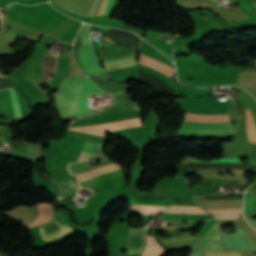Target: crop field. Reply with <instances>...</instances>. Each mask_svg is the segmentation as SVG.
Returning a JSON list of instances; mask_svg holds the SVG:
<instances>
[{
  "label": "crop field",
  "instance_id": "obj_20",
  "mask_svg": "<svg viewBox=\"0 0 256 256\" xmlns=\"http://www.w3.org/2000/svg\"><path fill=\"white\" fill-rule=\"evenodd\" d=\"M13 1H15V0H0V5L5 6L9 3H12Z\"/></svg>",
  "mask_w": 256,
  "mask_h": 256
},
{
  "label": "crop field",
  "instance_id": "obj_25",
  "mask_svg": "<svg viewBox=\"0 0 256 256\" xmlns=\"http://www.w3.org/2000/svg\"><path fill=\"white\" fill-rule=\"evenodd\" d=\"M256 63V62H255Z\"/></svg>",
  "mask_w": 256,
  "mask_h": 256
},
{
  "label": "crop field",
  "instance_id": "obj_21",
  "mask_svg": "<svg viewBox=\"0 0 256 256\" xmlns=\"http://www.w3.org/2000/svg\"><path fill=\"white\" fill-rule=\"evenodd\" d=\"M9 75H11V73H10V74H8L7 76H1V77H8ZM1 77H0V78H1Z\"/></svg>",
  "mask_w": 256,
  "mask_h": 256
},
{
  "label": "crop field",
  "instance_id": "obj_15",
  "mask_svg": "<svg viewBox=\"0 0 256 256\" xmlns=\"http://www.w3.org/2000/svg\"><path fill=\"white\" fill-rule=\"evenodd\" d=\"M253 205H254V192H246L245 205H244V216H253Z\"/></svg>",
  "mask_w": 256,
  "mask_h": 256
},
{
  "label": "crop field",
  "instance_id": "obj_9",
  "mask_svg": "<svg viewBox=\"0 0 256 256\" xmlns=\"http://www.w3.org/2000/svg\"><path fill=\"white\" fill-rule=\"evenodd\" d=\"M138 65L148 67L151 69H155L168 77H173L175 69L157 61L152 58L145 56L144 54L139 52V61Z\"/></svg>",
  "mask_w": 256,
  "mask_h": 256
},
{
  "label": "crop field",
  "instance_id": "obj_10",
  "mask_svg": "<svg viewBox=\"0 0 256 256\" xmlns=\"http://www.w3.org/2000/svg\"><path fill=\"white\" fill-rule=\"evenodd\" d=\"M133 110H139L137 104L133 101H128V102L111 105L105 110L89 117H99V116H105L113 113L133 111Z\"/></svg>",
  "mask_w": 256,
  "mask_h": 256
},
{
  "label": "crop field",
  "instance_id": "obj_13",
  "mask_svg": "<svg viewBox=\"0 0 256 256\" xmlns=\"http://www.w3.org/2000/svg\"><path fill=\"white\" fill-rule=\"evenodd\" d=\"M167 207L161 206H142V205H133L130 211L141 212L147 216L163 212Z\"/></svg>",
  "mask_w": 256,
  "mask_h": 256
},
{
  "label": "crop field",
  "instance_id": "obj_23",
  "mask_svg": "<svg viewBox=\"0 0 256 256\" xmlns=\"http://www.w3.org/2000/svg\"><path fill=\"white\" fill-rule=\"evenodd\" d=\"M76 206H84V205H76Z\"/></svg>",
  "mask_w": 256,
  "mask_h": 256
},
{
  "label": "crop field",
  "instance_id": "obj_8",
  "mask_svg": "<svg viewBox=\"0 0 256 256\" xmlns=\"http://www.w3.org/2000/svg\"><path fill=\"white\" fill-rule=\"evenodd\" d=\"M72 229H70L67 226L61 225L59 222L56 220L51 222L50 224L41 227L40 228V233L41 236L45 241L62 236L68 232H70Z\"/></svg>",
  "mask_w": 256,
  "mask_h": 256
},
{
  "label": "crop field",
  "instance_id": "obj_6",
  "mask_svg": "<svg viewBox=\"0 0 256 256\" xmlns=\"http://www.w3.org/2000/svg\"><path fill=\"white\" fill-rule=\"evenodd\" d=\"M195 250L223 251L220 236L215 223L205 236L190 247ZM205 256H239L237 252H211L206 251Z\"/></svg>",
  "mask_w": 256,
  "mask_h": 256
},
{
  "label": "crop field",
  "instance_id": "obj_12",
  "mask_svg": "<svg viewBox=\"0 0 256 256\" xmlns=\"http://www.w3.org/2000/svg\"><path fill=\"white\" fill-rule=\"evenodd\" d=\"M215 216V218H235L242 215L241 209L228 210H207Z\"/></svg>",
  "mask_w": 256,
  "mask_h": 256
},
{
  "label": "crop field",
  "instance_id": "obj_16",
  "mask_svg": "<svg viewBox=\"0 0 256 256\" xmlns=\"http://www.w3.org/2000/svg\"><path fill=\"white\" fill-rule=\"evenodd\" d=\"M51 54V53H47ZM56 55H47L45 62V77L44 82H48V74L54 72Z\"/></svg>",
  "mask_w": 256,
  "mask_h": 256
},
{
  "label": "crop field",
  "instance_id": "obj_4",
  "mask_svg": "<svg viewBox=\"0 0 256 256\" xmlns=\"http://www.w3.org/2000/svg\"><path fill=\"white\" fill-rule=\"evenodd\" d=\"M94 145L95 144L93 143L85 141L76 161L87 160ZM102 148V145L96 144L88 160L91 161L97 157H100V164L110 162V160L103 154ZM51 176L59 183L64 196H75V190H77L78 187L71 174H60Z\"/></svg>",
  "mask_w": 256,
  "mask_h": 256
},
{
  "label": "crop field",
  "instance_id": "obj_17",
  "mask_svg": "<svg viewBox=\"0 0 256 256\" xmlns=\"http://www.w3.org/2000/svg\"><path fill=\"white\" fill-rule=\"evenodd\" d=\"M9 91H10L11 101H12V105H13L14 116L15 117H21L20 108H19V105H18L15 90L14 89H9Z\"/></svg>",
  "mask_w": 256,
  "mask_h": 256
},
{
  "label": "crop field",
  "instance_id": "obj_5",
  "mask_svg": "<svg viewBox=\"0 0 256 256\" xmlns=\"http://www.w3.org/2000/svg\"><path fill=\"white\" fill-rule=\"evenodd\" d=\"M145 229L146 228L143 227L130 228L127 245L128 253L140 252L144 238L143 231ZM161 249L159 248L156 241L152 238V236H146L145 249L142 253V256H162L166 252Z\"/></svg>",
  "mask_w": 256,
  "mask_h": 256
},
{
  "label": "crop field",
  "instance_id": "obj_22",
  "mask_svg": "<svg viewBox=\"0 0 256 256\" xmlns=\"http://www.w3.org/2000/svg\"><path fill=\"white\" fill-rule=\"evenodd\" d=\"M129 33V32H128ZM135 36V35H134ZM137 37V36H136ZM110 40V39H109ZM142 40V39H141ZM113 42V41H112ZM141 42V41H140ZM115 43V42H114ZM138 49H139V47H138Z\"/></svg>",
  "mask_w": 256,
  "mask_h": 256
},
{
  "label": "crop field",
  "instance_id": "obj_11",
  "mask_svg": "<svg viewBox=\"0 0 256 256\" xmlns=\"http://www.w3.org/2000/svg\"><path fill=\"white\" fill-rule=\"evenodd\" d=\"M51 218V206L48 203H39V216L36 219V221L30 225L34 226L37 224L44 223Z\"/></svg>",
  "mask_w": 256,
  "mask_h": 256
},
{
  "label": "crop field",
  "instance_id": "obj_19",
  "mask_svg": "<svg viewBox=\"0 0 256 256\" xmlns=\"http://www.w3.org/2000/svg\"><path fill=\"white\" fill-rule=\"evenodd\" d=\"M202 236H190V237H181V238H169V239H160L162 243L168 242H179V241H187V240H195L200 239Z\"/></svg>",
  "mask_w": 256,
  "mask_h": 256
},
{
  "label": "crop field",
  "instance_id": "obj_18",
  "mask_svg": "<svg viewBox=\"0 0 256 256\" xmlns=\"http://www.w3.org/2000/svg\"><path fill=\"white\" fill-rule=\"evenodd\" d=\"M192 162H203V161H200V160H196L194 159ZM212 162H223V163H241L239 161V159H230V158H220V159H215L213 160ZM233 172H239V171H233ZM191 172H186V174H189ZM239 173H244V172H239ZM233 174H238V173H233Z\"/></svg>",
  "mask_w": 256,
  "mask_h": 256
},
{
  "label": "crop field",
  "instance_id": "obj_1",
  "mask_svg": "<svg viewBox=\"0 0 256 256\" xmlns=\"http://www.w3.org/2000/svg\"><path fill=\"white\" fill-rule=\"evenodd\" d=\"M70 77L66 78L59 91L56 94L58 107L65 117V92L67 90ZM84 76H72L68 90L66 92V117L77 116V98L78 92L81 87V83ZM104 92L96 84L90 81L86 76L84 77L81 91L78 98V116L90 113L91 110L87 106L88 94L102 93Z\"/></svg>",
  "mask_w": 256,
  "mask_h": 256
},
{
  "label": "crop field",
  "instance_id": "obj_3",
  "mask_svg": "<svg viewBox=\"0 0 256 256\" xmlns=\"http://www.w3.org/2000/svg\"><path fill=\"white\" fill-rule=\"evenodd\" d=\"M189 122L197 123H226L229 122L226 114L224 115H197L185 113L184 119ZM183 121L178 132L188 133H233L230 123L226 124H196Z\"/></svg>",
  "mask_w": 256,
  "mask_h": 256
},
{
  "label": "crop field",
  "instance_id": "obj_7",
  "mask_svg": "<svg viewBox=\"0 0 256 256\" xmlns=\"http://www.w3.org/2000/svg\"><path fill=\"white\" fill-rule=\"evenodd\" d=\"M237 69L238 67H229V66L180 65L179 71L202 72V73H237ZM190 72H179V73L199 74V75H230V74H202V73H190Z\"/></svg>",
  "mask_w": 256,
  "mask_h": 256
},
{
  "label": "crop field",
  "instance_id": "obj_24",
  "mask_svg": "<svg viewBox=\"0 0 256 256\" xmlns=\"http://www.w3.org/2000/svg\"><path fill=\"white\" fill-rule=\"evenodd\" d=\"M0 32H2V31H0Z\"/></svg>",
  "mask_w": 256,
  "mask_h": 256
},
{
  "label": "crop field",
  "instance_id": "obj_2",
  "mask_svg": "<svg viewBox=\"0 0 256 256\" xmlns=\"http://www.w3.org/2000/svg\"><path fill=\"white\" fill-rule=\"evenodd\" d=\"M88 37V27L85 25L81 35L82 44L77 48L79 59L86 73L104 77L105 71L103 68L98 67L99 61L93 51V46ZM136 57L137 52L105 60V69L108 71L111 69L134 65L136 64Z\"/></svg>",
  "mask_w": 256,
  "mask_h": 256
},
{
  "label": "crop field",
  "instance_id": "obj_14",
  "mask_svg": "<svg viewBox=\"0 0 256 256\" xmlns=\"http://www.w3.org/2000/svg\"><path fill=\"white\" fill-rule=\"evenodd\" d=\"M100 2H101V0H97V1H96V4H95V6H94V9H93V12H92V15H91V16L97 14V11H98ZM112 4H113V0H102L97 15H107L108 12H109V10H110V8H111V6H112Z\"/></svg>",
  "mask_w": 256,
  "mask_h": 256
}]
</instances>
